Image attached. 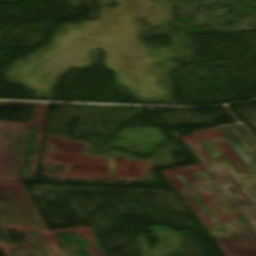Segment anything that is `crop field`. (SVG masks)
Wrapping results in <instances>:
<instances>
[{"instance_id":"2","label":"crop field","mask_w":256,"mask_h":256,"mask_svg":"<svg viewBox=\"0 0 256 256\" xmlns=\"http://www.w3.org/2000/svg\"><path fill=\"white\" fill-rule=\"evenodd\" d=\"M223 136L250 132L245 124L218 128Z\"/></svg>"},{"instance_id":"1","label":"crop field","mask_w":256,"mask_h":256,"mask_svg":"<svg viewBox=\"0 0 256 256\" xmlns=\"http://www.w3.org/2000/svg\"><path fill=\"white\" fill-rule=\"evenodd\" d=\"M225 138L256 176V138L253 134L246 133Z\"/></svg>"}]
</instances>
